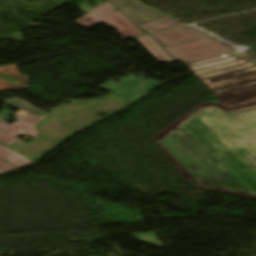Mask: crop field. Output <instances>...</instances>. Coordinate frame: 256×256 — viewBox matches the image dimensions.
<instances>
[{"label":"crop field","instance_id":"1","mask_svg":"<svg viewBox=\"0 0 256 256\" xmlns=\"http://www.w3.org/2000/svg\"><path fill=\"white\" fill-rule=\"evenodd\" d=\"M186 65L227 108L256 101V64L224 54Z\"/></svg>","mask_w":256,"mask_h":256},{"label":"crop field","instance_id":"2","mask_svg":"<svg viewBox=\"0 0 256 256\" xmlns=\"http://www.w3.org/2000/svg\"><path fill=\"white\" fill-rule=\"evenodd\" d=\"M9 104L15 106L19 109V112L14 114L7 110ZM7 112L13 114L16 116L15 120H18L14 124L8 125L5 120L7 117ZM40 115H47L44 112L38 110L37 108L33 107L32 105L26 103L25 101L21 99H15L12 98L10 100L6 101V105L3 110V114L1 116L0 120V141L4 144L8 145L14 141L23 143V141L17 139L16 137L26 134L30 135L34 139L37 138L36 135L39 133L33 129L36 122L40 121L42 118L46 116H40ZM34 116H40L35 118H29ZM29 118V119H26ZM0 158L3 160L21 168L23 166H26L31 161L25 159L24 157L4 148L0 145Z\"/></svg>","mask_w":256,"mask_h":256},{"label":"crop field","instance_id":"3","mask_svg":"<svg viewBox=\"0 0 256 256\" xmlns=\"http://www.w3.org/2000/svg\"><path fill=\"white\" fill-rule=\"evenodd\" d=\"M235 47L215 41L214 37L190 42L186 44L176 45L172 47H165L164 49L175 59L178 61H181L183 63L208 58L224 53H230L232 55H235L237 57H244L254 63H256V57L244 53V54H238L233 52V49Z\"/></svg>","mask_w":256,"mask_h":256},{"label":"crop field","instance_id":"4","mask_svg":"<svg viewBox=\"0 0 256 256\" xmlns=\"http://www.w3.org/2000/svg\"><path fill=\"white\" fill-rule=\"evenodd\" d=\"M113 8L114 7L107 2L84 17L76 20L74 23L88 29L100 23H105L119 31L123 38L143 34L141 30L133 26L119 11L113 12Z\"/></svg>","mask_w":256,"mask_h":256},{"label":"crop field","instance_id":"5","mask_svg":"<svg viewBox=\"0 0 256 256\" xmlns=\"http://www.w3.org/2000/svg\"><path fill=\"white\" fill-rule=\"evenodd\" d=\"M134 24L141 27L151 22L167 17V15L137 1V0H110Z\"/></svg>","mask_w":256,"mask_h":256},{"label":"crop field","instance_id":"6","mask_svg":"<svg viewBox=\"0 0 256 256\" xmlns=\"http://www.w3.org/2000/svg\"><path fill=\"white\" fill-rule=\"evenodd\" d=\"M152 36L157 40V42L162 47L172 46L176 44L186 43V42L210 37L209 35L191 26L152 34Z\"/></svg>","mask_w":256,"mask_h":256},{"label":"crop field","instance_id":"7","mask_svg":"<svg viewBox=\"0 0 256 256\" xmlns=\"http://www.w3.org/2000/svg\"><path fill=\"white\" fill-rule=\"evenodd\" d=\"M137 39L159 60L160 63L169 64L175 62L149 35Z\"/></svg>","mask_w":256,"mask_h":256},{"label":"crop field","instance_id":"8","mask_svg":"<svg viewBox=\"0 0 256 256\" xmlns=\"http://www.w3.org/2000/svg\"><path fill=\"white\" fill-rule=\"evenodd\" d=\"M177 23H179L176 19H173L171 17H167L165 19L159 20L157 22L151 23L149 25L141 27V29L151 33L167 28L176 27Z\"/></svg>","mask_w":256,"mask_h":256},{"label":"crop field","instance_id":"9","mask_svg":"<svg viewBox=\"0 0 256 256\" xmlns=\"http://www.w3.org/2000/svg\"><path fill=\"white\" fill-rule=\"evenodd\" d=\"M15 169L14 167L0 161V174Z\"/></svg>","mask_w":256,"mask_h":256},{"label":"crop field","instance_id":"10","mask_svg":"<svg viewBox=\"0 0 256 256\" xmlns=\"http://www.w3.org/2000/svg\"><path fill=\"white\" fill-rule=\"evenodd\" d=\"M56 1H58V2H60V3H62V4H64V3H66V2H68V1H70V0H56Z\"/></svg>","mask_w":256,"mask_h":256}]
</instances>
